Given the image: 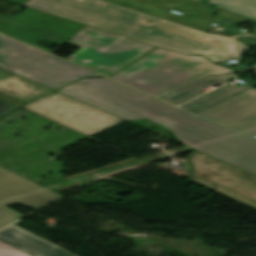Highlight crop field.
I'll list each match as a JSON object with an SVG mask.
<instances>
[{
	"mask_svg": "<svg viewBox=\"0 0 256 256\" xmlns=\"http://www.w3.org/2000/svg\"><path fill=\"white\" fill-rule=\"evenodd\" d=\"M196 1H199V2H201L202 0H196Z\"/></svg>",
	"mask_w": 256,
	"mask_h": 256,
	"instance_id": "crop-field-18",
	"label": "crop field"
},
{
	"mask_svg": "<svg viewBox=\"0 0 256 256\" xmlns=\"http://www.w3.org/2000/svg\"><path fill=\"white\" fill-rule=\"evenodd\" d=\"M197 114L248 135H256V88L244 91Z\"/></svg>",
	"mask_w": 256,
	"mask_h": 256,
	"instance_id": "crop-field-9",
	"label": "crop field"
},
{
	"mask_svg": "<svg viewBox=\"0 0 256 256\" xmlns=\"http://www.w3.org/2000/svg\"><path fill=\"white\" fill-rule=\"evenodd\" d=\"M57 91L127 121L151 120L172 131L181 144L256 175V139L109 78L81 79Z\"/></svg>",
	"mask_w": 256,
	"mask_h": 256,
	"instance_id": "crop-field-1",
	"label": "crop field"
},
{
	"mask_svg": "<svg viewBox=\"0 0 256 256\" xmlns=\"http://www.w3.org/2000/svg\"><path fill=\"white\" fill-rule=\"evenodd\" d=\"M251 85H245V86H240V85H234V86H229L226 85L222 88H219L215 91H212L208 94H205L183 106H180L186 110H189L193 113H196L224 98H227L233 94H236L248 87H250Z\"/></svg>",
	"mask_w": 256,
	"mask_h": 256,
	"instance_id": "crop-field-14",
	"label": "crop field"
},
{
	"mask_svg": "<svg viewBox=\"0 0 256 256\" xmlns=\"http://www.w3.org/2000/svg\"><path fill=\"white\" fill-rule=\"evenodd\" d=\"M218 8L256 19V0H211Z\"/></svg>",
	"mask_w": 256,
	"mask_h": 256,
	"instance_id": "crop-field-15",
	"label": "crop field"
},
{
	"mask_svg": "<svg viewBox=\"0 0 256 256\" xmlns=\"http://www.w3.org/2000/svg\"><path fill=\"white\" fill-rule=\"evenodd\" d=\"M23 107L88 136L124 121L57 91Z\"/></svg>",
	"mask_w": 256,
	"mask_h": 256,
	"instance_id": "crop-field-7",
	"label": "crop field"
},
{
	"mask_svg": "<svg viewBox=\"0 0 256 256\" xmlns=\"http://www.w3.org/2000/svg\"><path fill=\"white\" fill-rule=\"evenodd\" d=\"M0 241L30 256L34 251L43 256H75L14 224L0 230Z\"/></svg>",
	"mask_w": 256,
	"mask_h": 256,
	"instance_id": "crop-field-10",
	"label": "crop field"
},
{
	"mask_svg": "<svg viewBox=\"0 0 256 256\" xmlns=\"http://www.w3.org/2000/svg\"><path fill=\"white\" fill-rule=\"evenodd\" d=\"M59 196L0 167V228L23 216L8 205L16 202L36 209Z\"/></svg>",
	"mask_w": 256,
	"mask_h": 256,
	"instance_id": "crop-field-8",
	"label": "crop field"
},
{
	"mask_svg": "<svg viewBox=\"0 0 256 256\" xmlns=\"http://www.w3.org/2000/svg\"><path fill=\"white\" fill-rule=\"evenodd\" d=\"M23 6L167 48L203 53L213 60L235 55L230 37L207 34L100 0H30Z\"/></svg>",
	"mask_w": 256,
	"mask_h": 256,
	"instance_id": "crop-field-2",
	"label": "crop field"
},
{
	"mask_svg": "<svg viewBox=\"0 0 256 256\" xmlns=\"http://www.w3.org/2000/svg\"><path fill=\"white\" fill-rule=\"evenodd\" d=\"M229 72L203 57L158 48L112 78L161 98L208 75Z\"/></svg>",
	"mask_w": 256,
	"mask_h": 256,
	"instance_id": "crop-field-3",
	"label": "crop field"
},
{
	"mask_svg": "<svg viewBox=\"0 0 256 256\" xmlns=\"http://www.w3.org/2000/svg\"><path fill=\"white\" fill-rule=\"evenodd\" d=\"M230 78H232L231 74H225L220 76H208L161 99L170 102L174 105H179L183 102L200 96V92L203 91L204 86L211 87L218 83H228L229 81L227 80Z\"/></svg>",
	"mask_w": 256,
	"mask_h": 256,
	"instance_id": "crop-field-13",
	"label": "crop field"
},
{
	"mask_svg": "<svg viewBox=\"0 0 256 256\" xmlns=\"http://www.w3.org/2000/svg\"><path fill=\"white\" fill-rule=\"evenodd\" d=\"M52 90L0 68V98L21 106Z\"/></svg>",
	"mask_w": 256,
	"mask_h": 256,
	"instance_id": "crop-field-11",
	"label": "crop field"
},
{
	"mask_svg": "<svg viewBox=\"0 0 256 256\" xmlns=\"http://www.w3.org/2000/svg\"><path fill=\"white\" fill-rule=\"evenodd\" d=\"M16 107L9 105L3 101H0V118L14 110Z\"/></svg>",
	"mask_w": 256,
	"mask_h": 256,
	"instance_id": "crop-field-17",
	"label": "crop field"
},
{
	"mask_svg": "<svg viewBox=\"0 0 256 256\" xmlns=\"http://www.w3.org/2000/svg\"><path fill=\"white\" fill-rule=\"evenodd\" d=\"M187 163L190 181L256 209V176L195 150Z\"/></svg>",
	"mask_w": 256,
	"mask_h": 256,
	"instance_id": "crop-field-6",
	"label": "crop field"
},
{
	"mask_svg": "<svg viewBox=\"0 0 256 256\" xmlns=\"http://www.w3.org/2000/svg\"><path fill=\"white\" fill-rule=\"evenodd\" d=\"M256 73V71H254Z\"/></svg>",
	"mask_w": 256,
	"mask_h": 256,
	"instance_id": "crop-field-19",
	"label": "crop field"
},
{
	"mask_svg": "<svg viewBox=\"0 0 256 256\" xmlns=\"http://www.w3.org/2000/svg\"><path fill=\"white\" fill-rule=\"evenodd\" d=\"M143 4L169 12L174 9L185 13L183 16L196 19L205 23L210 21V7L192 0H143Z\"/></svg>",
	"mask_w": 256,
	"mask_h": 256,
	"instance_id": "crop-field-12",
	"label": "crop field"
},
{
	"mask_svg": "<svg viewBox=\"0 0 256 256\" xmlns=\"http://www.w3.org/2000/svg\"><path fill=\"white\" fill-rule=\"evenodd\" d=\"M67 43L81 48L66 59L106 76L113 75L155 48L89 26Z\"/></svg>",
	"mask_w": 256,
	"mask_h": 256,
	"instance_id": "crop-field-5",
	"label": "crop field"
},
{
	"mask_svg": "<svg viewBox=\"0 0 256 256\" xmlns=\"http://www.w3.org/2000/svg\"><path fill=\"white\" fill-rule=\"evenodd\" d=\"M0 256H28V255L0 242Z\"/></svg>",
	"mask_w": 256,
	"mask_h": 256,
	"instance_id": "crop-field-16",
	"label": "crop field"
},
{
	"mask_svg": "<svg viewBox=\"0 0 256 256\" xmlns=\"http://www.w3.org/2000/svg\"><path fill=\"white\" fill-rule=\"evenodd\" d=\"M0 67L52 90L77 78L102 77L1 34Z\"/></svg>",
	"mask_w": 256,
	"mask_h": 256,
	"instance_id": "crop-field-4",
	"label": "crop field"
}]
</instances>
